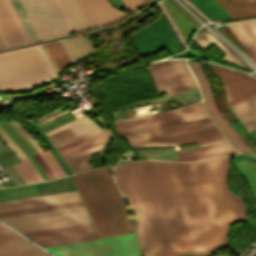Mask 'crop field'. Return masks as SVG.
Instances as JSON below:
<instances>
[{
	"mask_svg": "<svg viewBox=\"0 0 256 256\" xmlns=\"http://www.w3.org/2000/svg\"><path fill=\"white\" fill-rule=\"evenodd\" d=\"M108 141L109 140L88 150L80 151L74 155H71L65 158V161L74 173L90 170L92 169L91 166L88 164L92 162L90 156L103 152L105 146L108 144Z\"/></svg>",
	"mask_w": 256,
	"mask_h": 256,
	"instance_id": "crop-field-17",
	"label": "crop field"
},
{
	"mask_svg": "<svg viewBox=\"0 0 256 256\" xmlns=\"http://www.w3.org/2000/svg\"><path fill=\"white\" fill-rule=\"evenodd\" d=\"M131 36L142 56L163 48L172 54L183 49L163 16Z\"/></svg>",
	"mask_w": 256,
	"mask_h": 256,
	"instance_id": "crop-field-5",
	"label": "crop field"
},
{
	"mask_svg": "<svg viewBox=\"0 0 256 256\" xmlns=\"http://www.w3.org/2000/svg\"><path fill=\"white\" fill-rule=\"evenodd\" d=\"M90 28L111 24L128 13L114 9L107 0H77Z\"/></svg>",
	"mask_w": 256,
	"mask_h": 256,
	"instance_id": "crop-field-8",
	"label": "crop field"
},
{
	"mask_svg": "<svg viewBox=\"0 0 256 256\" xmlns=\"http://www.w3.org/2000/svg\"><path fill=\"white\" fill-rule=\"evenodd\" d=\"M0 47H4V44H3L2 40H1V38H0Z\"/></svg>",
	"mask_w": 256,
	"mask_h": 256,
	"instance_id": "crop-field-36",
	"label": "crop field"
},
{
	"mask_svg": "<svg viewBox=\"0 0 256 256\" xmlns=\"http://www.w3.org/2000/svg\"><path fill=\"white\" fill-rule=\"evenodd\" d=\"M208 116L203 103H197L186 108L171 111L153 113L147 116H140L114 121L118 131L135 129L146 126L165 125L183 122Z\"/></svg>",
	"mask_w": 256,
	"mask_h": 256,
	"instance_id": "crop-field-6",
	"label": "crop field"
},
{
	"mask_svg": "<svg viewBox=\"0 0 256 256\" xmlns=\"http://www.w3.org/2000/svg\"><path fill=\"white\" fill-rule=\"evenodd\" d=\"M0 36H1V38H2V40H3V42H4V44H5V46H8V44H7V42H6L5 38H4V36H3L2 32H1V30H0ZM9 46H10V45H9Z\"/></svg>",
	"mask_w": 256,
	"mask_h": 256,
	"instance_id": "crop-field-35",
	"label": "crop field"
},
{
	"mask_svg": "<svg viewBox=\"0 0 256 256\" xmlns=\"http://www.w3.org/2000/svg\"><path fill=\"white\" fill-rule=\"evenodd\" d=\"M33 158L36 160L42 171L45 173V175L48 177V179L55 178V176L52 174V172L49 170L41 156L37 153L33 155Z\"/></svg>",
	"mask_w": 256,
	"mask_h": 256,
	"instance_id": "crop-field-29",
	"label": "crop field"
},
{
	"mask_svg": "<svg viewBox=\"0 0 256 256\" xmlns=\"http://www.w3.org/2000/svg\"><path fill=\"white\" fill-rule=\"evenodd\" d=\"M30 41L39 39L29 17L27 16L20 0H10Z\"/></svg>",
	"mask_w": 256,
	"mask_h": 256,
	"instance_id": "crop-field-26",
	"label": "crop field"
},
{
	"mask_svg": "<svg viewBox=\"0 0 256 256\" xmlns=\"http://www.w3.org/2000/svg\"><path fill=\"white\" fill-rule=\"evenodd\" d=\"M112 138L111 134L107 129L98 132L96 134H93L89 137H86L84 139H81L79 141L73 142L71 144H68L66 146L60 147L57 150L59 151L62 158L71 155L73 153H76L80 150H83L85 148L91 147L93 145H96L106 139Z\"/></svg>",
	"mask_w": 256,
	"mask_h": 256,
	"instance_id": "crop-field-18",
	"label": "crop field"
},
{
	"mask_svg": "<svg viewBox=\"0 0 256 256\" xmlns=\"http://www.w3.org/2000/svg\"><path fill=\"white\" fill-rule=\"evenodd\" d=\"M20 236L0 245V256H50Z\"/></svg>",
	"mask_w": 256,
	"mask_h": 256,
	"instance_id": "crop-field-13",
	"label": "crop field"
},
{
	"mask_svg": "<svg viewBox=\"0 0 256 256\" xmlns=\"http://www.w3.org/2000/svg\"><path fill=\"white\" fill-rule=\"evenodd\" d=\"M55 1H56L57 5H58L59 9L61 10V12H62V14H63V16H64V18H65V20H66V22H67V24H68V26L70 28V30H71V32H74L75 29H74V27H73V25H72L68 15H67L66 11H65V9L63 8L60 0H55Z\"/></svg>",
	"mask_w": 256,
	"mask_h": 256,
	"instance_id": "crop-field-31",
	"label": "crop field"
},
{
	"mask_svg": "<svg viewBox=\"0 0 256 256\" xmlns=\"http://www.w3.org/2000/svg\"><path fill=\"white\" fill-rule=\"evenodd\" d=\"M41 46H42V48H43V50H44L46 56L48 57V59H49L51 65L53 66V68H54V70H55V72H56V74H57V76H58L60 72H59L57 66L55 65L53 59L51 58L49 52L47 51V49H46V47H45V45H41Z\"/></svg>",
	"mask_w": 256,
	"mask_h": 256,
	"instance_id": "crop-field-32",
	"label": "crop field"
},
{
	"mask_svg": "<svg viewBox=\"0 0 256 256\" xmlns=\"http://www.w3.org/2000/svg\"><path fill=\"white\" fill-rule=\"evenodd\" d=\"M192 41L195 42L203 50L214 44L225 53L226 56L223 57L222 60L233 63L239 67L250 69L236 54H234L228 47H226L217 37H215L208 30L196 34Z\"/></svg>",
	"mask_w": 256,
	"mask_h": 256,
	"instance_id": "crop-field-14",
	"label": "crop field"
},
{
	"mask_svg": "<svg viewBox=\"0 0 256 256\" xmlns=\"http://www.w3.org/2000/svg\"><path fill=\"white\" fill-rule=\"evenodd\" d=\"M194 150L195 151L183 152L182 158H178V160L190 161L238 153L229 142L202 148H194Z\"/></svg>",
	"mask_w": 256,
	"mask_h": 256,
	"instance_id": "crop-field-15",
	"label": "crop field"
},
{
	"mask_svg": "<svg viewBox=\"0 0 256 256\" xmlns=\"http://www.w3.org/2000/svg\"><path fill=\"white\" fill-rule=\"evenodd\" d=\"M98 131H100V129L95 125L92 120L88 118L82 122H79L69 128H66L60 132L49 136V139L56 146V148H58Z\"/></svg>",
	"mask_w": 256,
	"mask_h": 256,
	"instance_id": "crop-field-10",
	"label": "crop field"
},
{
	"mask_svg": "<svg viewBox=\"0 0 256 256\" xmlns=\"http://www.w3.org/2000/svg\"><path fill=\"white\" fill-rule=\"evenodd\" d=\"M230 157L128 161L115 168L142 256L212 254L229 246V223L247 221L244 202L226 187Z\"/></svg>",
	"mask_w": 256,
	"mask_h": 256,
	"instance_id": "crop-field-1",
	"label": "crop field"
},
{
	"mask_svg": "<svg viewBox=\"0 0 256 256\" xmlns=\"http://www.w3.org/2000/svg\"><path fill=\"white\" fill-rule=\"evenodd\" d=\"M19 233L92 222L85 207L0 218Z\"/></svg>",
	"mask_w": 256,
	"mask_h": 256,
	"instance_id": "crop-field-4",
	"label": "crop field"
},
{
	"mask_svg": "<svg viewBox=\"0 0 256 256\" xmlns=\"http://www.w3.org/2000/svg\"><path fill=\"white\" fill-rule=\"evenodd\" d=\"M231 109L247 132L256 128V95L231 106Z\"/></svg>",
	"mask_w": 256,
	"mask_h": 256,
	"instance_id": "crop-field-16",
	"label": "crop field"
},
{
	"mask_svg": "<svg viewBox=\"0 0 256 256\" xmlns=\"http://www.w3.org/2000/svg\"><path fill=\"white\" fill-rule=\"evenodd\" d=\"M3 1H4L5 5H6V7L8 8V10H9V12H10V14H11V16H12V18H13V20H14V22H15V24H16V26H17V28H18L22 38H23V40H24V42H28L29 39H28V37H27V35H26V33H25V31H24V29H23V27H22V25H21L17 15H16V13H15L11 3H10V1L9 0H3Z\"/></svg>",
	"mask_w": 256,
	"mask_h": 256,
	"instance_id": "crop-field-28",
	"label": "crop field"
},
{
	"mask_svg": "<svg viewBox=\"0 0 256 256\" xmlns=\"http://www.w3.org/2000/svg\"><path fill=\"white\" fill-rule=\"evenodd\" d=\"M23 235L41 246L99 238L92 223L23 233Z\"/></svg>",
	"mask_w": 256,
	"mask_h": 256,
	"instance_id": "crop-field-7",
	"label": "crop field"
},
{
	"mask_svg": "<svg viewBox=\"0 0 256 256\" xmlns=\"http://www.w3.org/2000/svg\"><path fill=\"white\" fill-rule=\"evenodd\" d=\"M187 3H189L194 9H196L198 12H200L206 19H208L209 21L213 22L214 21H218V20H224V19H230L232 18L229 14H227L215 1L213 0H189L192 4H194L197 8H199L203 13H205L209 18V19L205 14H203L200 10H198L194 5H192L188 0H185ZM230 20H234V19H230ZM230 20H224V21H230ZM218 22H222V21H218ZM215 22V23H218Z\"/></svg>",
	"mask_w": 256,
	"mask_h": 256,
	"instance_id": "crop-field-19",
	"label": "crop field"
},
{
	"mask_svg": "<svg viewBox=\"0 0 256 256\" xmlns=\"http://www.w3.org/2000/svg\"><path fill=\"white\" fill-rule=\"evenodd\" d=\"M77 205H84V204L82 200H78V201H72V202H66V203H60V204H53V205H47V206H41V207H35V208L3 212V213H0V217L37 212V211H44V210H50V209H57V208H64V207H70V206H77Z\"/></svg>",
	"mask_w": 256,
	"mask_h": 256,
	"instance_id": "crop-field-27",
	"label": "crop field"
},
{
	"mask_svg": "<svg viewBox=\"0 0 256 256\" xmlns=\"http://www.w3.org/2000/svg\"><path fill=\"white\" fill-rule=\"evenodd\" d=\"M216 1V0H215ZM219 1L229 12H231L236 18L256 14V0H217ZM216 1V2H217ZM219 2H217L226 12H228ZM228 12V13H229ZM231 13H229L235 20ZM256 16V15H252ZM251 17V16H248ZM247 18V17H243ZM242 19V18H239Z\"/></svg>",
	"mask_w": 256,
	"mask_h": 256,
	"instance_id": "crop-field-21",
	"label": "crop field"
},
{
	"mask_svg": "<svg viewBox=\"0 0 256 256\" xmlns=\"http://www.w3.org/2000/svg\"><path fill=\"white\" fill-rule=\"evenodd\" d=\"M76 31L88 29L89 26L76 2V0H61Z\"/></svg>",
	"mask_w": 256,
	"mask_h": 256,
	"instance_id": "crop-field-25",
	"label": "crop field"
},
{
	"mask_svg": "<svg viewBox=\"0 0 256 256\" xmlns=\"http://www.w3.org/2000/svg\"><path fill=\"white\" fill-rule=\"evenodd\" d=\"M44 248L57 256H139L133 234L45 246Z\"/></svg>",
	"mask_w": 256,
	"mask_h": 256,
	"instance_id": "crop-field-3",
	"label": "crop field"
},
{
	"mask_svg": "<svg viewBox=\"0 0 256 256\" xmlns=\"http://www.w3.org/2000/svg\"><path fill=\"white\" fill-rule=\"evenodd\" d=\"M228 26L256 64V19L230 23Z\"/></svg>",
	"mask_w": 256,
	"mask_h": 256,
	"instance_id": "crop-field-12",
	"label": "crop field"
},
{
	"mask_svg": "<svg viewBox=\"0 0 256 256\" xmlns=\"http://www.w3.org/2000/svg\"><path fill=\"white\" fill-rule=\"evenodd\" d=\"M249 134L252 136V138L256 141V129L249 132Z\"/></svg>",
	"mask_w": 256,
	"mask_h": 256,
	"instance_id": "crop-field-34",
	"label": "crop field"
},
{
	"mask_svg": "<svg viewBox=\"0 0 256 256\" xmlns=\"http://www.w3.org/2000/svg\"><path fill=\"white\" fill-rule=\"evenodd\" d=\"M80 199L77 191L0 202V212Z\"/></svg>",
	"mask_w": 256,
	"mask_h": 256,
	"instance_id": "crop-field-9",
	"label": "crop field"
},
{
	"mask_svg": "<svg viewBox=\"0 0 256 256\" xmlns=\"http://www.w3.org/2000/svg\"><path fill=\"white\" fill-rule=\"evenodd\" d=\"M121 133L130 147L187 145L223 137L209 117Z\"/></svg>",
	"mask_w": 256,
	"mask_h": 256,
	"instance_id": "crop-field-2",
	"label": "crop field"
},
{
	"mask_svg": "<svg viewBox=\"0 0 256 256\" xmlns=\"http://www.w3.org/2000/svg\"><path fill=\"white\" fill-rule=\"evenodd\" d=\"M52 36L69 33L70 30L54 0H34Z\"/></svg>",
	"mask_w": 256,
	"mask_h": 256,
	"instance_id": "crop-field-11",
	"label": "crop field"
},
{
	"mask_svg": "<svg viewBox=\"0 0 256 256\" xmlns=\"http://www.w3.org/2000/svg\"><path fill=\"white\" fill-rule=\"evenodd\" d=\"M161 6L163 7L164 11L166 12V14L168 15V17L170 18L171 22L173 23V25L175 26L176 30L178 31L179 35L181 36V38L183 39L184 43L186 44L184 38L182 37L181 33L179 32L178 28L176 27L174 21L172 20L171 16L169 15L168 11L166 10L165 6L163 5L162 1H161Z\"/></svg>",
	"mask_w": 256,
	"mask_h": 256,
	"instance_id": "crop-field-33",
	"label": "crop field"
},
{
	"mask_svg": "<svg viewBox=\"0 0 256 256\" xmlns=\"http://www.w3.org/2000/svg\"><path fill=\"white\" fill-rule=\"evenodd\" d=\"M35 184L0 189V201L37 196Z\"/></svg>",
	"mask_w": 256,
	"mask_h": 256,
	"instance_id": "crop-field-24",
	"label": "crop field"
},
{
	"mask_svg": "<svg viewBox=\"0 0 256 256\" xmlns=\"http://www.w3.org/2000/svg\"><path fill=\"white\" fill-rule=\"evenodd\" d=\"M28 16L30 17L40 39L51 37V34L39 13L33 0H21Z\"/></svg>",
	"mask_w": 256,
	"mask_h": 256,
	"instance_id": "crop-field-23",
	"label": "crop field"
},
{
	"mask_svg": "<svg viewBox=\"0 0 256 256\" xmlns=\"http://www.w3.org/2000/svg\"><path fill=\"white\" fill-rule=\"evenodd\" d=\"M0 28L10 46L23 43V40L2 0H0Z\"/></svg>",
	"mask_w": 256,
	"mask_h": 256,
	"instance_id": "crop-field-22",
	"label": "crop field"
},
{
	"mask_svg": "<svg viewBox=\"0 0 256 256\" xmlns=\"http://www.w3.org/2000/svg\"><path fill=\"white\" fill-rule=\"evenodd\" d=\"M126 9L136 10L142 4H144L147 0H122Z\"/></svg>",
	"mask_w": 256,
	"mask_h": 256,
	"instance_id": "crop-field-30",
	"label": "crop field"
},
{
	"mask_svg": "<svg viewBox=\"0 0 256 256\" xmlns=\"http://www.w3.org/2000/svg\"><path fill=\"white\" fill-rule=\"evenodd\" d=\"M61 43L72 64L94 51L87 38L76 37L67 41H61Z\"/></svg>",
	"mask_w": 256,
	"mask_h": 256,
	"instance_id": "crop-field-20",
	"label": "crop field"
}]
</instances>
